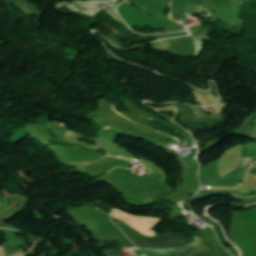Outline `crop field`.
<instances>
[{"instance_id":"obj_3","label":"crop field","mask_w":256,"mask_h":256,"mask_svg":"<svg viewBox=\"0 0 256 256\" xmlns=\"http://www.w3.org/2000/svg\"><path fill=\"white\" fill-rule=\"evenodd\" d=\"M20 204H21L20 196L18 194L11 195V206L7 211L0 214V217L7 214V213H10V212L14 211Z\"/></svg>"},{"instance_id":"obj_4","label":"crop field","mask_w":256,"mask_h":256,"mask_svg":"<svg viewBox=\"0 0 256 256\" xmlns=\"http://www.w3.org/2000/svg\"><path fill=\"white\" fill-rule=\"evenodd\" d=\"M201 239H202V243H201L200 248L190 256H203V255L207 254L208 251L210 250V248L206 245L203 238H201Z\"/></svg>"},{"instance_id":"obj_2","label":"crop field","mask_w":256,"mask_h":256,"mask_svg":"<svg viewBox=\"0 0 256 256\" xmlns=\"http://www.w3.org/2000/svg\"><path fill=\"white\" fill-rule=\"evenodd\" d=\"M197 246L188 244L185 246H181L178 248H147L143 247V250H135L141 252H151V253H158V254H165L170 252L178 251V256H188Z\"/></svg>"},{"instance_id":"obj_5","label":"crop field","mask_w":256,"mask_h":256,"mask_svg":"<svg viewBox=\"0 0 256 256\" xmlns=\"http://www.w3.org/2000/svg\"><path fill=\"white\" fill-rule=\"evenodd\" d=\"M7 220H9V219H7L6 217H3V218H1L0 219V225L2 224V223H4L5 221H7ZM0 227H7V228H12L13 229V227H11V226H9V225H7V224H2Z\"/></svg>"},{"instance_id":"obj_1","label":"crop field","mask_w":256,"mask_h":256,"mask_svg":"<svg viewBox=\"0 0 256 256\" xmlns=\"http://www.w3.org/2000/svg\"><path fill=\"white\" fill-rule=\"evenodd\" d=\"M134 246L148 247H178L188 244V241L177 234H163L160 240L136 239L132 240Z\"/></svg>"},{"instance_id":"obj_6","label":"crop field","mask_w":256,"mask_h":256,"mask_svg":"<svg viewBox=\"0 0 256 256\" xmlns=\"http://www.w3.org/2000/svg\"><path fill=\"white\" fill-rule=\"evenodd\" d=\"M104 252L107 254V256H118L114 251L112 250H104Z\"/></svg>"},{"instance_id":"obj_8","label":"crop field","mask_w":256,"mask_h":256,"mask_svg":"<svg viewBox=\"0 0 256 256\" xmlns=\"http://www.w3.org/2000/svg\"><path fill=\"white\" fill-rule=\"evenodd\" d=\"M125 160H127V159H125Z\"/></svg>"},{"instance_id":"obj_7","label":"crop field","mask_w":256,"mask_h":256,"mask_svg":"<svg viewBox=\"0 0 256 256\" xmlns=\"http://www.w3.org/2000/svg\"><path fill=\"white\" fill-rule=\"evenodd\" d=\"M116 251V250H114ZM120 256H122V252L121 251H116Z\"/></svg>"}]
</instances>
